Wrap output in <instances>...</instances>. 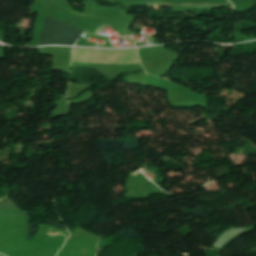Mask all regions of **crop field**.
I'll use <instances>...</instances> for the list:
<instances>
[{
    "mask_svg": "<svg viewBox=\"0 0 256 256\" xmlns=\"http://www.w3.org/2000/svg\"><path fill=\"white\" fill-rule=\"evenodd\" d=\"M83 31L46 16L40 45H73Z\"/></svg>",
    "mask_w": 256,
    "mask_h": 256,
    "instance_id": "1",
    "label": "crop field"
},
{
    "mask_svg": "<svg viewBox=\"0 0 256 256\" xmlns=\"http://www.w3.org/2000/svg\"><path fill=\"white\" fill-rule=\"evenodd\" d=\"M122 1L133 2V3H137V2L148 3V2H151V1H155V0H122ZM156 3H157V1L148 3L147 5H155Z\"/></svg>",
    "mask_w": 256,
    "mask_h": 256,
    "instance_id": "2",
    "label": "crop field"
}]
</instances>
